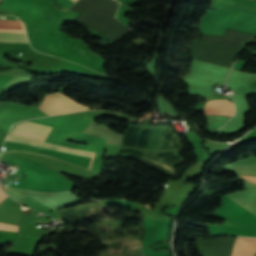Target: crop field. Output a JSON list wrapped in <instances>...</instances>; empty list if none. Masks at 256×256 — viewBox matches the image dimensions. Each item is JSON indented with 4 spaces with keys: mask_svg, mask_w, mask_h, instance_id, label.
Wrapping results in <instances>:
<instances>
[{
    "mask_svg": "<svg viewBox=\"0 0 256 256\" xmlns=\"http://www.w3.org/2000/svg\"><path fill=\"white\" fill-rule=\"evenodd\" d=\"M38 109L44 112L47 116H50L89 110L90 108L88 106L77 103L71 98L58 92L55 94L46 95L43 103L40 107H38Z\"/></svg>",
    "mask_w": 256,
    "mask_h": 256,
    "instance_id": "8a807250",
    "label": "crop field"
},
{
    "mask_svg": "<svg viewBox=\"0 0 256 256\" xmlns=\"http://www.w3.org/2000/svg\"><path fill=\"white\" fill-rule=\"evenodd\" d=\"M17 127L34 130V131H38V132H42V133H46V134H49V132L52 130L51 127L33 124V123H29V122H22V123L18 124ZM17 127H14L11 134L25 136V137H29L32 139L42 140V141H45V139L47 137L46 134L29 131V130H25V129H21V128H17Z\"/></svg>",
    "mask_w": 256,
    "mask_h": 256,
    "instance_id": "ac0d7876",
    "label": "crop field"
},
{
    "mask_svg": "<svg viewBox=\"0 0 256 256\" xmlns=\"http://www.w3.org/2000/svg\"><path fill=\"white\" fill-rule=\"evenodd\" d=\"M205 113L207 114H222L232 116L234 106L228 100H212L206 103Z\"/></svg>",
    "mask_w": 256,
    "mask_h": 256,
    "instance_id": "34b2d1b8",
    "label": "crop field"
},
{
    "mask_svg": "<svg viewBox=\"0 0 256 256\" xmlns=\"http://www.w3.org/2000/svg\"><path fill=\"white\" fill-rule=\"evenodd\" d=\"M256 250V238H237L232 256H253Z\"/></svg>",
    "mask_w": 256,
    "mask_h": 256,
    "instance_id": "412701ff",
    "label": "crop field"
},
{
    "mask_svg": "<svg viewBox=\"0 0 256 256\" xmlns=\"http://www.w3.org/2000/svg\"><path fill=\"white\" fill-rule=\"evenodd\" d=\"M0 42L29 43L25 34L1 33V32H0Z\"/></svg>",
    "mask_w": 256,
    "mask_h": 256,
    "instance_id": "f4fd0767",
    "label": "crop field"
},
{
    "mask_svg": "<svg viewBox=\"0 0 256 256\" xmlns=\"http://www.w3.org/2000/svg\"><path fill=\"white\" fill-rule=\"evenodd\" d=\"M0 229L17 232L18 227L0 223Z\"/></svg>",
    "mask_w": 256,
    "mask_h": 256,
    "instance_id": "dd49c442",
    "label": "crop field"
},
{
    "mask_svg": "<svg viewBox=\"0 0 256 256\" xmlns=\"http://www.w3.org/2000/svg\"><path fill=\"white\" fill-rule=\"evenodd\" d=\"M7 196L3 193L2 189L0 188V202L3 201Z\"/></svg>",
    "mask_w": 256,
    "mask_h": 256,
    "instance_id": "e52e79f7",
    "label": "crop field"
},
{
    "mask_svg": "<svg viewBox=\"0 0 256 256\" xmlns=\"http://www.w3.org/2000/svg\"><path fill=\"white\" fill-rule=\"evenodd\" d=\"M95 153V152H94ZM94 153H93V157H94ZM93 157H92V161H93ZM92 161H91V164H92ZM91 168V167H90Z\"/></svg>",
    "mask_w": 256,
    "mask_h": 256,
    "instance_id": "d8731c3e",
    "label": "crop field"
},
{
    "mask_svg": "<svg viewBox=\"0 0 256 256\" xmlns=\"http://www.w3.org/2000/svg\"><path fill=\"white\" fill-rule=\"evenodd\" d=\"M254 215H256V206H255V212H254Z\"/></svg>",
    "mask_w": 256,
    "mask_h": 256,
    "instance_id": "5a996713",
    "label": "crop field"
},
{
    "mask_svg": "<svg viewBox=\"0 0 256 256\" xmlns=\"http://www.w3.org/2000/svg\"><path fill=\"white\" fill-rule=\"evenodd\" d=\"M72 1L76 2L77 0H72Z\"/></svg>",
    "mask_w": 256,
    "mask_h": 256,
    "instance_id": "3316defc",
    "label": "crop field"
}]
</instances>
